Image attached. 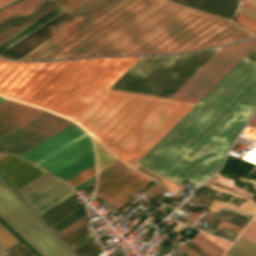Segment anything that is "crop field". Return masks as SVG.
I'll list each match as a JSON object with an SVG mask.
<instances>
[{
    "instance_id": "1",
    "label": "crop field",
    "mask_w": 256,
    "mask_h": 256,
    "mask_svg": "<svg viewBox=\"0 0 256 256\" xmlns=\"http://www.w3.org/2000/svg\"><path fill=\"white\" fill-rule=\"evenodd\" d=\"M256 107V63L243 58L137 164L181 185H201Z\"/></svg>"
},
{
    "instance_id": "2",
    "label": "crop field",
    "mask_w": 256,
    "mask_h": 256,
    "mask_svg": "<svg viewBox=\"0 0 256 256\" xmlns=\"http://www.w3.org/2000/svg\"><path fill=\"white\" fill-rule=\"evenodd\" d=\"M138 58L39 63L0 60V95L75 121Z\"/></svg>"
},
{
    "instance_id": "3",
    "label": "crop field",
    "mask_w": 256,
    "mask_h": 256,
    "mask_svg": "<svg viewBox=\"0 0 256 256\" xmlns=\"http://www.w3.org/2000/svg\"><path fill=\"white\" fill-rule=\"evenodd\" d=\"M193 105L108 90L76 123L131 167Z\"/></svg>"
},
{
    "instance_id": "4",
    "label": "crop field",
    "mask_w": 256,
    "mask_h": 256,
    "mask_svg": "<svg viewBox=\"0 0 256 256\" xmlns=\"http://www.w3.org/2000/svg\"><path fill=\"white\" fill-rule=\"evenodd\" d=\"M165 0H109L22 60L83 57Z\"/></svg>"
},
{
    "instance_id": "5",
    "label": "crop field",
    "mask_w": 256,
    "mask_h": 256,
    "mask_svg": "<svg viewBox=\"0 0 256 256\" xmlns=\"http://www.w3.org/2000/svg\"><path fill=\"white\" fill-rule=\"evenodd\" d=\"M256 37L234 23L186 9L120 55L190 52Z\"/></svg>"
},
{
    "instance_id": "6",
    "label": "crop field",
    "mask_w": 256,
    "mask_h": 256,
    "mask_svg": "<svg viewBox=\"0 0 256 256\" xmlns=\"http://www.w3.org/2000/svg\"><path fill=\"white\" fill-rule=\"evenodd\" d=\"M220 48L190 55L141 57L109 89L169 98Z\"/></svg>"
},
{
    "instance_id": "7",
    "label": "crop field",
    "mask_w": 256,
    "mask_h": 256,
    "mask_svg": "<svg viewBox=\"0 0 256 256\" xmlns=\"http://www.w3.org/2000/svg\"><path fill=\"white\" fill-rule=\"evenodd\" d=\"M91 152L88 134L72 124L20 156L55 174Z\"/></svg>"
},
{
    "instance_id": "8",
    "label": "crop field",
    "mask_w": 256,
    "mask_h": 256,
    "mask_svg": "<svg viewBox=\"0 0 256 256\" xmlns=\"http://www.w3.org/2000/svg\"><path fill=\"white\" fill-rule=\"evenodd\" d=\"M255 45L256 40L223 46L170 98L196 103Z\"/></svg>"
},
{
    "instance_id": "9",
    "label": "crop field",
    "mask_w": 256,
    "mask_h": 256,
    "mask_svg": "<svg viewBox=\"0 0 256 256\" xmlns=\"http://www.w3.org/2000/svg\"><path fill=\"white\" fill-rule=\"evenodd\" d=\"M0 215L44 256H71L1 182Z\"/></svg>"
},
{
    "instance_id": "10",
    "label": "crop field",
    "mask_w": 256,
    "mask_h": 256,
    "mask_svg": "<svg viewBox=\"0 0 256 256\" xmlns=\"http://www.w3.org/2000/svg\"><path fill=\"white\" fill-rule=\"evenodd\" d=\"M186 8L167 1L85 57L118 55Z\"/></svg>"
},
{
    "instance_id": "11",
    "label": "crop field",
    "mask_w": 256,
    "mask_h": 256,
    "mask_svg": "<svg viewBox=\"0 0 256 256\" xmlns=\"http://www.w3.org/2000/svg\"><path fill=\"white\" fill-rule=\"evenodd\" d=\"M71 124L46 111L0 137V151L19 154Z\"/></svg>"
},
{
    "instance_id": "12",
    "label": "crop field",
    "mask_w": 256,
    "mask_h": 256,
    "mask_svg": "<svg viewBox=\"0 0 256 256\" xmlns=\"http://www.w3.org/2000/svg\"><path fill=\"white\" fill-rule=\"evenodd\" d=\"M74 193L67 183L50 176L21 196L40 216Z\"/></svg>"
},
{
    "instance_id": "13",
    "label": "crop field",
    "mask_w": 256,
    "mask_h": 256,
    "mask_svg": "<svg viewBox=\"0 0 256 256\" xmlns=\"http://www.w3.org/2000/svg\"><path fill=\"white\" fill-rule=\"evenodd\" d=\"M45 172L33 163L26 162L12 154L0 160L1 175L18 190Z\"/></svg>"
},
{
    "instance_id": "14",
    "label": "crop field",
    "mask_w": 256,
    "mask_h": 256,
    "mask_svg": "<svg viewBox=\"0 0 256 256\" xmlns=\"http://www.w3.org/2000/svg\"><path fill=\"white\" fill-rule=\"evenodd\" d=\"M150 181L151 180L130 170L100 194L99 197L119 208L128 201L126 198L136 194Z\"/></svg>"
},
{
    "instance_id": "15",
    "label": "crop field",
    "mask_w": 256,
    "mask_h": 256,
    "mask_svg": "<svg viewBox=\"0 0 256 256\" xmlns=\"http://www.w3.org/2000/svg\"><path fill=\"white\" fill-rule=\"evenodd\" d=\"M51 0H22L0 11V31L22 21L29 20L52 4Z\"/></svg>"
},
{
    "instance_id": "16",
    "label": "crop field",
    "mask_w": 256,
    "mask_h": 256,
    "mask_svg": "<svg viewBox=\"0 0 256 256\" xmlns=\"http://www.w3.org/2000/svg\"><path fill=\"white\" fill-rule=\"evenodd\" d=\"M42 111L10 100L2 103L0 105V136Z\"/></svg>"
},
{
    "instance_id": "17",
    "label": "crop field",
    "mask_w": 256,
    "mask_h": 256,
    "mask_svg": "<svg viewBox=\"0 0 256 256\" xmlns=\"http://www.w3.org/2000/svg\"><path fill=\"white\" fill-rule=\"evenodd\" d=\"M194 9L231 20L238 7V0H171Z\"/></svg>"
},
{
    "instance_id": "18",
    "label": "crop field",
    "mask_w": 256,
    "mask_h": 256,
    "mask_svg": "<svg viewBox=\"0 0 256 256\" xmlns=\"http://www.w3.org/2000/svg\"><path fill=\"white\" fill-rule=\"evenodd\" d=\"M128 169L118 159L113 162L108 168L98 175V185L95 196L98 195L104 188L116 180L123 172ZM94 196V197H95Z\"/></svg>"
},
{
    "instance_id": "19",
    "label": "crop field",
    "mask_w": 256,
    "mask_h": 256,
    "mask_svg": "<svg viewBox=\"0 0 256 256\" xmlns=\"http://www.w3.org/2000/svg\"><path fill=\"white\" fill-rule=\"evenodd\" d=\"M62 11H64V10L61 9L59 6L56 7L55 9H53L52 11H50L49 13H47L46 15H44L43 17H41L40 19H38L37 21L32 23L31 25H29L28 27H26L25 29L20 31L19 33H17L16 35H14L10 39H8L7 41L2 43L0 45V52H2L3 50L8 48L15 42H17L18 40H20L27 34L31 33L32 31H34L35 29H37L38 27H40L41 25H43L44 23H46L47 21H49L50 19H52L53 17H55L56 15L61 13Z\"/></svg>"
},
{
    "instance_id": "20",
    "label": "crop field",
    "mask_w": 256,
    "mask_h": 256,
    "mask_svg": "<svg viewBox=\"0 0 256 256\" xmlns=\"http://www.w3.org/2000/svg\"><path fill=\"white\" fill-rule=\"evenodd\" d=\"M211 212L217 213L215 217L224 219L228 222L244 228L245 225L250 221V219L255 215L256 210L244 213L229 208H222L214 209Z\"/></svg>"
},
{
    "instance_id": "21",
    "label": "crop field",
    "mask_w": 256,
    "mask_h": 256,
    "mask_svg": "<svg viewBox=\"0 0 256 256\" xmlns=\"http://www.w3.org/2000/svg\"><path fill=\"white\" fill-rule=\"evenodd\" d=\"M78 195L77 193L66 199L50 211L46 212L42 216H40L44 221H46L50 226L61 220L71 212L78 209L74 204H72L69 200Z\"/></svg>"
},
{
    "instance_id": "22",
    "label": "crop field",
    "mask_w": 256,
    "mask_h": 256,
    "mask_svg": "<svg viewBox=\"0 0 256 256\" xmlns=\"http://www.w3.org/2000/svg\"><path fill=\"white\" fill-rule=\"evenodd\" d=\"M224 255L256 256V245L240 234Z\"/></svg>"
},
{
    "instance_id": "23",
    "label": "crop field",
    "mask_w": 256,
    "mask_h": 256,
    "mask_svg": "<svg viewBox=\"0 0 256 256\" xmlns=\"http://www.w3.org/2000/svg\"><path fill=\"white\" fill-rule=\"evenodd\" d=\"M94 165V155L93 153L89 154L88 156L82 158L81 160L77 161L76 163L70 165L69 167L65 168L64 170L55 174L64 180H69L72 177L76 176L80 172L84 171L85 169L89 168L90 166Z\"/></svg>"
},
{
    "instance_id": "24",
    "label": "crop field",
    "mask_w": 256,
    "mask_h": 256,
    "mask_svg": "<svg viewBox=\"0 0 256 256\" xmlns=\"http://www.w3.org/2000/svg\"><path fill=\"white\" fill-rule=\"evenodd\" d=\"M93 141H94L95 150H96L98 174H99L117 158L113 156L109 151H107L96 140L93 139Z\"/></svg>"
},
{
    "instance_id": "25",
    "label": "crop field",
    "mask_w": 256,
    "mask_h": 256,
    "mask_svg": "<svg viewBox=\"0 0 256 256\" xmlns=\"http://www.w3.org/2000/svg\"><path fill=\"white\" fill-rule=\"evenodd\" d=\"M56 6H58V5L55 4V5L51 6L50 8H48L47 10H45L44 12L37 15L36 17H34L33 19H31L25 23L15 25V26L5 30L4 32L0 33V43H2L3 41H5L9 37H11L18 31H20L21 29L25 28L26 26H28L29 24H31L32 22H34L35 20H37L38 18H40L41 16H43L44 14H46L47 12H49L50 10L55 8Z\"/></svg>"
},
{
    "instance_id": "26",
    "label": "crop field",
    "mask_w": 256,
    "mask_h": 256,
    "mask_svg": "<svg viewBox=\"0 0 256 256\" xmlns=\"http://www.w3.org/2000/svg\"><path fill=\"white\" fill-rule=\"evenodd\" d=\"M84 214H86V212L83 206L51 227L57 233L66 226H68L69 224H71L72 222H74L75 220H77L78 218H80L81 216H83Z\"/></svg>"
},
{
    "instance_id": "27",
    "label": "crop field",
    "mask_w": 256,
    "mask_h": 256,
    "mask_svg": "<svg viewBox=\"0 0 256 256\" xmlns=\"http://www.w3.org/2000/svg\"><path fill=\"white\" fill-rule=\"evenodd\" d=\"M20 243V241L12 235L4 226L0 228V244L4 250Z\"/></svg>"
},
{
    "instance_id": "28",
    "label": "crop field",
    "mask_w": 256,
    "mask_h": 256,
    "mask_svg": "<svg viewBox=\"0 0 256 256\" xmlns=\"http://www.w3.org/2000/svg\"><path fill=\"white\" fill-rule=\"evenodd\" d=\"M194 245H196L198 248H200L202 251H204L209 256H221L222 254L219 253L216 249H214L211 245H209L206 241H204L201 237L198 235L196 238L192 241Z\"/></svg>"
},
{
    "instance_id": "29",
    "label": "crop field",
    "mask_w": 256,
    "mask_h": 256,
    "mask_svg": "<svg viewBox=\"0 0 256 256\" xmlns=\"http://www.w3.org/2000/svg\"><path fill=\"white\" fill-rule=\"evenodd\" d=\"M87 223H89V222L82 217V218H80L79 220H77L73 224L69 225L68 227H66L65 229H63L62 231H60L57 234L63 239L66 236H68L71 233H73L74 231H76L79 228H81L82 226L86 225Z\"/></svg>"
},
{
    "instance_id": "30",
    "label": "crop field",
    "mask_w": 256,
    "mask_h": 256,
    "mask_svg": "<svg viewBox=\"0 0 256 256\" xmlns=\"http://www.w3.org/2000/svg\"><path fill=\"white\" fill-rule=\"evenodd\" d=\"M95 175V167L92 166L89 169L85 170L81 174L77 175L76 177L72 178L71 180L67 181L73 187L78 185L79 183L83 182L84 180L90 178L91 176Z\"/></svg>"
},
{
    "instance_id": "31",
    "label": "crop field",
    "mask_w": 256,
    "mask_h": 256,
    "mask_svg": "<svg viewBox=\"0 0 256 256\" xmlns=\"http://www.w3.org/2000/svg\"><path fill=\"white\" fill-rule=\"evenodd\" d=\"M238 14L256 22V7L246 3L244 1L242 3V7Z\"/></svg>"
},
{
    "instance_id": "32",
    "label": "crop field",
    "mask_w": 256,
    "mask_h": 256,
    "mask_svg": "<svg viewBox=\"0 0 256 256\" xmlns=\"http://www.w3.org/2000/svg\"><path fill=\"white\" fill-rule=\"evenodd\" d=\"M98 249H100V247L98 246L97 242L93 244L88 242L74 252L77 253L79 256H82V255L90 256L91 254L96 252Z\"/></svg>"
},
{
    "instance_id": "33",
    "label": "crop field",
    "mask_w": 256,
    "mask_h": 256,
    "mask_svg": "<svg viewBox=\"0 0 256 256\" xmlns=\"http://www.w3.org/2000/svg\"><path fill=\"white\" fill-rule=\"evenodd\" d=\"M8 256H35L30 250H28L23 244L6 251Z\"/></svg>"
},
{
    "instance_id": "34",
    "label": "crop field",
    "mask_w": 256,
    "mask_h": 256,
    "mask_svg": "<svg viewBox=\"0 0 256 256\" xmlns=\"http://www.w3.org/2000/svg\"><path fill=\"white\" fill-rule=\"evenodd\" d=\"M241 234L256 244V221L251 220Z\"/></svg>"
},
{
    "instance_id": "35",
    "label": "crop field",
    "mask_w": 256,
    "mask_h": 256,
    "mask_svg": "<svg viewBox=\"0 0 256 256\" xmlns=\"http://www.w3.org/2000/svg\"><path fill=\"white\" fill-rule=\"evenodd\" d=\"M54 1L69 12L86 0H54Z\"/></svg>"
},
{
    "instance_id": "36",
    "label": "crop field",
    "mask_w": 256,
    "mask_h": 256,
    "mask_svg": "<svg viewBox=\"0 0 256 256\" xmlns=\"http://www.w3.org/2000/svg\"><path fill=\"white\" fill-rule=\"evenodd\" d=\"M236 22L240 23L242 26H244L245 28L253 31L256 33V23L240 16V15H237L236 19H235Z\"/></svg>"
},
{
    "instance_id": "37",
    "label": "crop field",
    "mask_w": 256,
    "mask_h": 256,
    "mask_svg": "<svg viewBox=\"0 0 256 256\" xmlns=\"http://www.w3.org/2000/svg\"><path fill=\"white\" fill-rule=\"evenodd\" d=\"M218 227H221L223 229H226V230H229V231H232L234 233H237L239 234L240 231L242 230V228L238 227V226H235L231 223H228L224 220H222V222L218 225Z\"/></svg>"
},
{
    "instance_id": "38",
    "label": "crop field",
    "mask_w": 256,
    "mask_h": 256,
    "mask_svg": "<svg viewBox=\"0 0 256 256\" xmlns=\"http://www.w3.org/2000/svg\"><path fill=\"white\" fill-rule=\"evenodd\" d=\"M91 239H93V238L87 234L86 236L82 237L81 239L77 240L76 242H74L73 244H71L69 246L74 251V250H76L77 248H79L80 246H82L83 244H85L86 242H88Z\"/></svg>"
},
{
    "instance_id": "39",
    "label": "crop field",
    "mask_w": 256,
    "mask_h": 256,
    "mask_svg": "<svg viewBox=\"0 0 256 256\" xmlns=\"http://www.w3.org/2000/svg\"><path fill=\"white\" fill-rule=\"evenodd\" d=\"M204 231L209 232V233H212V234L217 235V236H220V237H222V238L228 239V240H230V241H233V239H234V237H232V236L226 235V234H224V233L218 232V231L213 230V229H210V228H208V227H205ZM228 240H227V241H228Z\"/></svg>"
},
{
    "instance_id": "40",
    "label": "crop field",
    "mask_w": 256,
    "mask_h": 256,
    "mask_svg": "<svg viewBox=\"0 0 256 256\" xmlns=\"http://www.w3.org/2000/svg\"><path fill=\"white\" fill-rule=\"evenodd\" d=\"M178 249L180 251H182L184 254H186L187 256H200L199 254H197L195 251H193L191 248H189L185 244Z\"/></svg>"
},
{
    "instance_id": "41",
    "label": "crop field",
    "mask_w": 256,
    "mask_h": 256,
    "mask_svg": "<svg viewBox=\"0 0 256 256\" xmlns=\"http://www.w3.org/2000/svg\"><path fill=\"white\" fill-rule=\"evenodd\" d=\"M243 135L256 139V129L247 126V128L243 132Z\"/></svg>"
},
{
    "instance_id": "42",
    "label": "crop field",
    "mask_w": 256,
    "mask_h": 256,
    "mask_svg": "<svg viewBox=\"0 0 256 256\" xmlns=\"http://www.w3.org/2000/svg\"><path fill=\"white\" fill-rule=\"evenodd\" d=\"M95 182V176L91 177L90 179L86 180L85 182L79 184L78 186L74 187L77 191L86 187L87 185Z\"/></svg>"
},
{
    "instance_id": "43",
    "label": "crop field",
    "mask_w": 256,
    "mask_h": 256,
    "mask_svg": "<svg viewBox=\"0 0 256 256\" xmlns=\"http://www.w3.org/2000/svg\"><path fill=\"white\" fill-rule=\"evenodd\" d=\"M245 57L256 62V47L253 48Z\"/></svg>"
},
{
    "instance_id": "44",
    "label": "crop field",
    "mask_w": 256,
    "mask_h": 256,
    "mask_svg": "<svg viewBox=\"0 0 256 256\" xmlns=\"http://www.w3.org/2000/svg\"><path fill=\"white\" fill-rule=\"evenodd\" d=\"M249 126L256 128V115L252 119V121L249 123Z\"/></svg>"
},
{
    "instance_id": "45",
    "label": "crop field",
    "mask_w": 256,
    "mask_h": 256,
    "mask_svg": "<svg viewBox=\"0 0 256 256\" xmlns=\"http://www.w3.org/2000/svg\"><path fill=\"white\" fill-rule=\"evenodd\" d=\"M14 0H0V7Z\"/></svg>"
},
{
    "instance_id": "46",
    "label": "crop field",
    "mask_w": 256,
    "mask_h": 256,
    "mask_svg": "<svg viewBox=\"0 0 256 256\" xmlns=\"http://www.w3.org/2000/svg\"><path fill=\"white\" fill-rule=\"evenodd\" d=\"M244 1L256 6V0H244Z\"/></svg>"
},
{
    "instance_id": "47",
    "label": "crop field",
    "mask_w": 256,
    "mask_h": 256,
    "mask_svg": "<svg viewBox=\"0 0 256 256\" xmlns=\"http://www.w3.org/2000/svg\"><path fill=\"white\" fill-rule=\"evenodd\" d=\"M7 99H3V98H0V104L4 101H6Z\"/></svg>"
},
{
    "instance_id": "48",
    "label": "crop field",
    "mask_w": 256,
    "mask_h": 256,
    "mask_svg": "<svg viewBox=\"0 0 256 256\" xmlns=\"http://www.w3.org/2000/svg\"><path fill=\"white\" fill-rule=\"evenodd\" d=\"M0 256H4V254L0 255Z\"/></svg>"
},
{
    "instance_id": "49",
    "label": "crop field",
    "mask_w": 256,
    "mask_h": 256,
    "mask_svg": "<svg viewBox=\"0 0 256 256\" xmlns=\"http://www.w3.org/2000/svg\"><path fill=\"white\" fill-rule=\"evenodd\" d=\"M0 226H2V224L0 223Z\"/></svg>"
},
{
    "instance_id": "50",
    "label": "crop field",
    "mask_w": 256,
    "mask_h": 256,
    "mask_svg": "<svg viewBox=\"0 0 256 256\" xmlns=\"http://www.w3.org/2000/svg\"><path fill=\"white\" fill-rule=\"evenodd\" d=\"M0 252H2L1 249H0Z\"/></svg>"
},
{
    "instance_id": "51",
    "label": "crop field",
    "mask_w": 256,
    "mask_h": 256,
    "mask_svg": "<svg viewBox=\"0 0 256 256\" xmlns=\"http://www.w3.org/2000/svg\"><path fill=\"white\" fill-rule=\"evenodd\" d=\"M256 216V215H255ZM255 219H256V217H255Z\"/></svg>"
},
{
    "instance_id": "52",
    "label": "crop field",
    "mask_w": 256,
    "mask_h": 256,
    "mask_svg": "<svg viewBox=\"0 0 256 256\" xmlns=\"http://www.w3.org/2000/svg\"><path fill=\"white\" fill-rule=\"evenodd\" d=\"M224 256V255H223Z\"/></svg>"
}]
</instances>
